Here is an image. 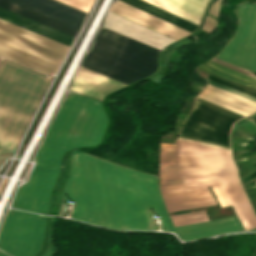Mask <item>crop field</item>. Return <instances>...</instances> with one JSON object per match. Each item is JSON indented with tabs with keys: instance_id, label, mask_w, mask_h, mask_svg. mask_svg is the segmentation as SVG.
I'll return each instance as SVG.
<instances>
[{
	"instance_id": "1",
	"label": "crop field",
	"mask_w": 256,
	"mask_h": 256,
	"mask_svg": "<svg viewBox=\"0 0 256 256\" xmlns=\"http://www.w3.org/2000/svg\"><path fill=\"white\" fill-rule=\"evenodd\" d=\"M73 169L66 184L64 201H76L70 214L75 220L116 230L175 232L180 240L242 231L236 215L174 228L160 194L158 178L79 152L71 153Z\"/></svg>"
},
{
	"instance_id": "2",
	"label": "crop field",
	"mask_w": 256,
	"mask_h": 256,
	"mask_svg": "<svg viewBox=\"0 0 256 256\" xmlns=\"http://www.w3.org/2000/svg\"><path fill=\"white\" fill-rule=\"evenodd\" d=\"M176 168L160 167L161 194L168 212L216 204L232 205L243 228L256 217L237 177L230 151L177 140Z\"/></svg>"
},
{
	"instance_id": "3",
	"label": "crop field",
	"mask_w": 256,
	"mask_h": 256,
	"mask_svg": "<svg viewBox=\"0 0 256 256\" xmlns=\"http://www.w3.org/2000/svg\"><path fill=\"white\" fill-rule=\"evenodd\" d=\"M106 125L102 102L69 93L36 153L30 178L19 187L12 207L46 215L62 154L73 147L99 144Z\"/></svg>"
},
{
	"instance_id": "4",
	"label": "crop field",
	"mask_w": 256,
	"mask_h": 256,
	"mask_svg": "<svg viewBox=\"0 0 256 256\" xmlns=\"http://www.w3.org/2000/svg\"><path fill=\"white\" fill-rule=\"evenodd\" d=\"M51 81L12 61L0 62V151L18 146Z\"/></svg>"
},
{
	"instance_id": "5",
	"label": "crop field",
	"mask_w": 256,
	"mask_h": 256,
	"mask_svg": "<svg viewBox=\"0 0 256 256\" xmlns=\"http://www.w3.org/2000/svg\"><path fill=\"white\" fill-rule=\"evenodd\" d=\"M158 52L103 27L82 65L129 84L156 70Z\"/></svg>"
},
{
	"instance_id": "6",
	"label": "crop field",
	"mask_w": 256,
	"mask_h": 256,
	"mask_svg": "<svg viewBox=\"0 0 256 256\" xmlns=\"http://www.w3.org/2000/svg\"><path fill=\"white\" fill-rule=\"evenodd\" d=\"M68 46L0 19V55L52 75Z\"/></svg>"
},
{
	"instance_id": "7",
	"label": "crop field",
	"mask_w": 256,
	"mask_h": 256,
	"mask_svg": "<svg viewBox=\"0 0 256 256\" xmlns=\"http://www.w3.org/2000/svg\"><path fill=\"white\" fill-rule=\"evenodd\" d=\"M46 217L9 211L0 230V249L14 256H35L41 249Z\"/></svg>"
},
{
	"instance_id": "8",
	"label": "crop field",
	"mask_w": 256,
	"mask_h": 256,
	"mask_svg": "<svg viewBox=\"0 0 256 256\" xmlns=\"http://www.w3.org/2000/svg\"><path fill=\"white\" fill-rule=\"evenodd\" d=\"M0 6L73 36L86 14L55 0H0Z\"/></svg>"
},
{
	"instance_id": "9",
	"label": "crop field",
	"mask_w": 256,
	"mask_h": 256,
	"mask_svg": "<svg viewBox=\"0 0 256 256\" xmlns=\"http://www.w3.org/2000/svg\"><path fill=\"white\" fill-rule=\"evenodd\" d=\"M236 13L237 33L216 58L256 72V5L240 4Z\"/></svg>"
},
{
	"instance_id": "10",
	"label": "crop field",
	"mask_w": 256,
	"mask_h": 256,
	"mask_svg": "<svg viewBox=\"0 0 256 256\" xmlns=\"http://www.w3.org/2000/svg\"><path fill=\"white\" fill-rule=\"evenodd\" d=\"M237 120L228 114L196 103L185 120L180 135L229 145L230 126Z\"/></svg>"
},
{
	"instance_id": "11",
	"label": "crop field",
	"mask_w": 256,
	"mask_h": 256,
	"mask_svg": "<svg viewBox=\"0 0 256 256\" xmlns=\"http://www.w3.org/2000/svg\"><path fill=\"white\" fill-rule=\"evenodd\" d=\"M110 11L129 20H132L140 25H143L151 30H154L162 35L169 36V38L173 40L179 39L190 33L184 29L174 26L120 1L115 2L111 6Z\"/></svg>"
},
{
	"instance_id": "12",
	"label": "crop field",
	"mask_w": 256,
	"mask_h": 256,
	"mask_svg": "<svg viewBox=\"0 0 256 256\" xmlns=\"http://www.w3.org/2000/svg\"><path fill=\"white\" fill-rule=\"evenodd\" d=\"M124 85L125 84L123 83L81 67L77 72L70 89L88 96L102 99L107 92L120 88Z\"/></svg>"
},
{
	"instance_id": "13",
	"label": "crop field",
	"mask_w": 256,
	"mask_h": 256,
	"mask_svg": "<svg viewBox=\"0 0 256 256\" xmlns=\"http://www.w3.org/2000/svg\"><path fill=\"white\" fill-rule=\"evenodd\" d=\"M198 98L223 106L244 116L256 110V103L209 85L202 93L198 95Z\"/></svg>"
},
{
	"instance_id": "14",
	"label": "crop field",
	"mask_w": 256,
	"mask_h": 256,
	"mask_svg": "<svg viewBox=\"0 0 256 256\" xmlns=\"http://www.w3.org/2000/svg\"><path fill=\"white\" fill-rule=\"evenodd\" d=\"M0 18L70 46L73 36L0 7Z\"/></svg>"
},
{
	"instance_id": "15",
	"label": "crop field",
	"mask_w": 256,
	"mask_h": 256,
	"mask_svg": "<svg viewBox=\"0 0 256 256\" xmlns=\"http://www.w3.org/2000/svg\"><path fill=\"white\" fill-rule=\"evenodd\" d=\"M128 4H131L137 8H140L148 13H151L159 18H162L170 23H173L179 27H182L190 32H193L194 30H196L197 26L184 20L181 19L169 12H166L158 7H155L147 2H144L142 0H122Z\"/></svg>"
},
{
	"instance_id": "16",
	"label": "crop field",
	"mask_w": 256,
	"mask_h": 256,
	"mask_svg": "<svg viewBox=\"0 0 256 256\" xmlns=\"http://www.w3.org/2000/svg\"><path fill=\"white\" fill-rule=\"evenodd\" d=\"M196 19H200L209 0H157Z\"/></svg>"
},
{
	"instance_id": "17",
	"label": "crop field",
	"mask_w": 256,
	"mask_h": 256,
	"mask_svg": "<svg viewBox=\"0 0 256 256\" xmlns=\"http://www.w3.org/2000/svg\"><path fill=\"white\" fill-rule=\"evenodd\" d=\"M206 64H208V65H210V66H212V67H214V68H216V69H218V70H220V71H222V72L228 73V74H230V75H233V76H236V77H238V78H241V79H243V80H245V81L252 82V83H255V84H256V78H253V77H250V76H248V75L242 74V73H240V72H237V71L232 70V69H230V68L224 67V66L219 65V64H217V63H214V62H212V61H210V62H208V63H206ZM201 67H203V68H205V69H208V70H210V71H213V72H215V73H217V74H220V75H222V76H224V77H226V78H228V79H230V80H233V81H235V82H238V83H241V84H244V85H247V86L256 88L255 85H252V84H248V83L239 81V80H237V79H235V78H232V77H230V76H228V75H225V74H223V73H221V72H219V71H216V70H214V69H211V68L207 67L206 65H203V66H201Z\"/></svg>"
},
{
	"instance_id": "18",
	"label": "crop field",
	"mask_w": 256,
	"mask_h": 256,
	"mask_svg": "<svg viewBox=\"0 0 256 256\" xmlns=\"http://www.w3.org/2000/svg\"><path fill=\"white\" fill-rule=\"evenodd\" d=\"M170 217L175 227L210 220L206 211L178 214Z\"/></svg>"
},
{
	"instance_id": "19",
	"label": "crop field",
	"mask_w": 256,
	"mask_h": 256,
	"mask_svg": "<svg viewBox=\"0 0 256 256\" xmlns=\"http://www.w3.org/2000/svg\"><path fill=\"white\" fill-rule=\"evenodd\" d=\"M175 144L160 143V166L175 167Z\"/></svg>"
},
{
	"instance_id": "20",
	"label": "crop field",
	"mask_w": 256,
	"mask_h": 256,
	"mask_svg": "<svg viewBox=\"0 0 256 256\" xmlns=\"http://www.w3.org/2000/svg\"><path fill=\"white\" fill-rule=\"evenodd\" d=\"M145 1H147V2H149L151 4H153V5H156V6L162 8L164 10H167V11H169V12L175 14V15H178V16L186 19V20H189V21H191V22H193L195 24H198V22H199L198 20H196V19H194V18H192L190 16H187V15H185V14L179 12V11H176V10H174V9L168 7V6H165V5H163V4L159 3V2H156L154 0H145Z\"/></svg>"
},
{
	"instance_id": "21",
	"label": "crop field",
	"mask_w": 256,
	"mask_h": 256,
	"mask_svg": "<svg viewBox=\"0 0 256 256\" xmlns=\"http://www.w3.org/2000/svg\"><path fill=\"white\" fill-rule=\"evenodd\" d=\"M208 80H211V81H213V82L219 83V84H221V85L227 86V87H229V88H232V89H234V90H237V91H239V92H242V93H244V94H247V95H250V96L256 98V93H253V92L247 91V90H245V89L239 88V87H237V86H234V85H232V84H229V83H227V82H225V81H223V80H221V79H218V78H216V77H214V76H212V75L209 76Z\"/></svg>"
},
{
	"instance_id": "22",
	"label": "crop field",
	"mask_w": 256,
	"mask_h": 256,
	"mask_svg": "<svg viewBox=\"0 0 256 256\" xmlns=\"http://www.w3.org/2000/svg\"><path fill=\"white\" fill-rule=\"evenodd\" d=\"M59 1H62L64 3H67L69 5H72L76 8H79L87 12L93 0H59Z\"/></svg>"
},
{
	"instance_id": "23",
	"label": "crop field",
	"mask_w": 256,
	"mask_h": 256,
	"mask_svg": "<svg viewBox=\"0 0 256 256\" xmlns=\"http://www.w3.org/2000/svg\"><path fill=\"white\" fill-rule=\"evenodd\" d=\"M212 61L217 62V63H220V64L225 65V66H227V67L233 68V69L238 70V71H240V72H243V73H245V74L251 75V76H253V77H256V75L252 74L251 72H249V71H247V70H245V69H242V68H240V67H237V66H234V65H232V64L226 63V62H224V61L218 60V59H216V58L212 59Z\"/></svg>"
},
{
	"instance_id": "24",
	"label": "crop field",
	"mask_w": 256,
	"mask_h": 256,
	"mask_svg": "<svg viewBox=\"0 0 256 256\" xmlns=\"http://www.w3.org/2000/svg\"><path fill=\"white\" fill-rule=\"evenodd\" d=\"M219 0L214 2L211 7L209 13L213 14L214 16L217 15V9H218Z\"/></svg>"
},
{
	"instance_id": "25",
	"label": "crop field",
	"mask_w": 256,
	"mask_h": 256,
	"mask_svg": "<svg viewBox=\"0 0 256 256\" xmlns=\"http://www.w3.org/2000/svg\"><path fill=\"white\" fill-rule=\"evenodd\" d=\"M205 23L208 24V25H210V26H212V27H214V25H215V23H216V20H214V19H212V18H210V17H207V20H206Z\"/></svg>"
},
{
	"instance_id": "26",
	"label": "crop field",
	"mask_w": 256,
	"mask_h": 256,
	"mask_svg": "<svg viewBox=\"0 0 256 256\" xmlns=\"http://www.w3.org/2000/svg\"><path fill=\"white\" fill-rule=\"evenodd\" d=\"M178 139H181V138H178ZM181 140H186V141H190V142L200 143V142H196V141H192V140H187V139H181ZM200 144H204V143H200ZM204 145H208V144H204ZM208 146H212V145H208ZM212 147L222 148V147H217V146H212ZM222 149H227V148H222ZM228 150H230V149H228Z\"/></svg>"
},
{
	"instance_id": "27",
	"label": "crop field",
	"mask_w": 256,
	"mask_h": 256,
	"mask_svg": "<svg viewBox=\"0 0 256 256\" xmlns=\"http://www.w3.org/2000/svg\"><path fill=\"white\" fill-rule=\"evenodd\" d=\"M0 256H8V255L5 254L4 252L0 251Z\"/></svg>"
},
{
	"instance_id": "28",
	"label": "crop field",
	"mask_w": 256,
	"mask_h": 256,
	"mask_svg": "<svg viewBox=\"0 0 256 256\" xmlns=\"http://www.w3.org/2000/svg\"><path fill=\"white\" fill-rule=\"evenodd\" d=\"M254 180H256V178H254V179H252V180L248 181V183H250V182H252V181H254Z\"/></svg>"
}]
</instances>
